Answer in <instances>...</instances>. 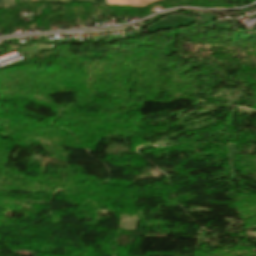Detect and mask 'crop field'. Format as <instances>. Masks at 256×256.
Wrapping results in <instances>:
<instances>
[{
	"label": "crop field",
	"instance_id": "8a807250",
	"mask_svg": "<svg viewBox=\"0 0 256 256\" xmlns=\"http://www.w3.org/2000/svg\"><path fill=\"white\" fill-rule=\"evenodd\" d=\"M155 1L159 0H107V5L145 7Z\"/></svg>",
	"mask_w": 256,
	"mask_h": 256
},
{
	"label": "crop field",
	"instance_id": "ac0d7876",
	"mask_svg": "<svg viewBox=\"0 0 256 256\" xmlns=\"http://www.w3.org/2000/svg\"><path fill=\"white\" fill-rule=\"evenodd\" d=\"M33 1H45V2H75V1H86L89 2V0H31ZM91 2H104V0H91Z\"/></svg>",
	"mask_w": 256,
	"mask_h": 256
},
{
	"label": "crop field",
	"instance_id": "34b2d1b8",
	"mask_svg": "<svg viewBox=\"0 0 256 256\" xmlns=\"http://www.w3.org/2000/svg\"><path fill=\"white\" fill-rule=\"evenodd\" d=\"M0 9H4L2 0H0Z\"/></svg>",
	"mask_w": 256,
	"mask_h": 256
}]
</instances>
